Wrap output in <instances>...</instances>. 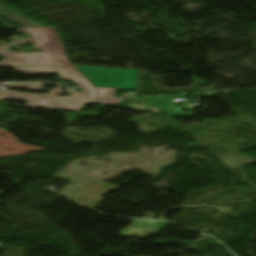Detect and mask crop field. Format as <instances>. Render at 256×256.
<instances>
[{
    "label": "crop field",
    "mask_w": 256,
    "mask_h": 256,
    "mask_svg": "<svg viewBox=\"0 0 256 256\" xmlns=\"http://www.w3.org/2000/svg\"><path fill=\"white\" fill-rule=\"evenodd\" d=\"M97 89H98V98L94 102L97 104L117 106L121 100L128 97L126 96L121 99H116L114 98V93L117 91L116 89H104V88H97Z\"/></svg>",
    "instance_id": "crop-field-5"
},
{
    "label": "crop field",
    "mask_w": 256,
    "mask_h": 256,
    "mask_svg": "<svg viewBox=\"0 0 256 256\" xmlns=\"http://www.w3.org/2000/svg\"><path fill=\"white\" fill-rule=\"evenodd\" d=\"M0 23L8 29L27 27L22 23L3 15L1 12H0Z\"/></svg>",
    "instance_id": "crop-field-6"
},
{
    "label": "crop field",
    "mask_w": 256,
    "mask_h": 256,
    "mask_svg": "<svg viewBox=\"0 0 256 256\" xmlns=\"http://www.w3.org/2000/svg\"><path fill=\"white\" fill-rule=\"evenodd\" d=\"M158 108H160L161 110L165 111L168 115H173V114H185L179 110H172V109H167L170 104H163V105H155Z\"/></svg>",
    "instance_id": "crop-field-10"
},
{
    "label": "crop field",
    "mask_w": 256,
    "mask_h": 256,
    "mask_svg": "<svg viewBox=\"0 0 256 256\" xmlns=\"http://www.w3.org/2000/svg\"><path fill=\"white\" fill-rule=\"evenodd\" d=\"M0 10L3 11L4 13H6L7 15H9V16H11V17H13V18H15V19H17V20H19V21H21V22H23V23H25L29 26H31V27L39 26L38 24H36V23H34V22H32V21L16 14V13H14L13 11L7 9L2 4H0Z\"/></svg>",
    "instance_id": "crop-field-7"
},
{
    "label": "crop field",
    "mask_w": 256,
    "mask_h": 256,
    "mask_svg": "<svg viewBox=\"0 0 256 256\" xmlns=\"http://www.w3.org/2000/svg\"><path fill=\"white\" fill-rule=\"evenodd\" d=\"M78 66H84V65H78ZM86 67H97V66H86ZM103 68H110V67H103ZM119 69H123V68H119ZM136 70V69H134Z\"/></svg>",
    "instance_id": "crop-field-12"
},
{
    "label": "crop field",
    "mask_w": 256,
    "mask_h": 256,
    "mask_svg": "<svg viewBox=\"0 0 256 256\" xmlns=\"http://www.w3.org/2000/svg\"><path fill=\"white\" fill-rule=\"evenodd\" d=\"M130 109L134 108L136 110H153L154 112L160 111L157 107H155L153 104L151 105H129Z\"/></svg>",
    "instance_id": "crop-field-9"
},
{
    "label": "crop field",
    "mask_w": 256,
    "mask_h": 256,
    "mask_svg": "<svg viewBox=\"0 0 256 256\" xmlns=\"http://www.w3.org/2000/svg\"><path fill=\"white\" fill-rule=\"evenodd\" d=\"M188 93H184V94H177V95H168L166 97H155V98H148L147 103H153V102H169V101H173V99L175 97H179V98H184L187 97ZM145 100V101H146Z\"/></svg>",
    "instance_id": "crop-field-8"
},
{
    "label": "crop field",
    "mask_w": 256,
    "mask_h": 256,
    "mask_svg": "<svg viewBox=\"0 0 256 256\" xmlns=\"http://www.w3.org/2000/svg\"><path fill=\"white\" fill-rule=\"evenodd\" d=\"M44 84H8L11 87H26L29 89H42Z\"/></svg>",
    "instance_id": "crop-field-11"
},
{
    "label": "crop field",
    "mask_w": 256,
    "mask_h": 256,
    "mask_svg": "<svg viewBox=\"0 0 256 256\" xmlns=\"http://www.w3.org/2000/svg\"><path fill=\"white\" fill-rule=\"evenodd\" d=\"M25 33L32 34V37L26 40L13 42L0 48V54H3L7 60L0 62L4 67H19L37 64H55L69 63L63 46L53 28H36V29H20ZM28 41H32L34 46L41 53L19 54L12 51H6L7 45H27Z\"/></svg>",
    "instance_id": "crop-field-1"
},
{
    "label": "crop field",
    "mask_w": 256,
    "mask_h": 256,
    "mask_svg": "<svg viewBox=\"0 0 256 256\" xmlns=\"http://www.w3.org/2000/svg\"><path fill=\"white\" fill-rule=\"evenodd\" d=\"M75 67L84 74L95 87L139 90L137 81L141 71Z\"/></svg>",
    "instance_id": "crop-field-2"
},
{
    "label": "crop field",
    "mask_w": 256,
    "mask_h": 256,
    "mask_svg": "<svg viewBox=\"0 0 256 256\" xmlns=\"http://www.w3.org/2000/svg\"><path fill=\"white\" fill-rule=\"evenodd\" d=\"M16 71L26 72L28 74H49L60 72L63 79L70 80L83 88V93H75V97H96L95 89L72 67L71 64L39 66V67H23L16 68Z\"/></svg>",
    "instance_id": "crop-field-4"
},
{
    "label": "crop field",
    "mask_w": 256,
    "mask_h": 256,
    "mask_svg": "<svg viewBox=\"0 0 256 256\" xmlns=\"http://www.w3.org/2000/svg\"><path fill=\"white\" fill-rule=\"evenodd\" d=\"M56 86H57V91H60L62 93L61 87H58V85H56Z\"/></svg>",
    "instance_id": "crop-field-13"
},
{
    "label": "crop field",
    "mask_w": 256,
    "mask_h": 256,
    "mask_svg": "<svg viewBox=\"0 0 256 256\" xmlns=\"http://www.w3.org/2000/svg\"><path fill=\"white\" fill-rule=\"evenodd\" d=\"M55 90L51 91L50 95H34L29 93L15 91H0L1 99L25 100L28 102L27 107L80 111L83 105L91 104L94 99L90 98H74V97H59L55 96ZM43 99L48 100L45 105H41Z\"/></svg>",
    "instance_id": "crop-field-3"
}]
</instances>
